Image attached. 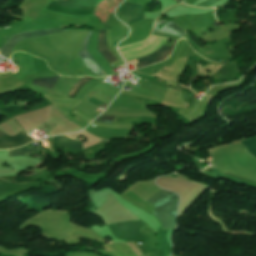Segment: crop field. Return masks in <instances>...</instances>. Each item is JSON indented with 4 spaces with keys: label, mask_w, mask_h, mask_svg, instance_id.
Masks as SVG:
<instances>
[{
    "label": "crop field",
    "mask_w": 256,
    "mask_h": 256,
    "mask_svg": "<svg viewBox=\"0 0 256 256\" xmlns=\"http://www.w3.org/2000/svg\"><path fill=\"white\" fill-rule=\"evenodd\" d=\"M177 199V196L163 190L149 200L156 205L153 214L160 220L163 229H173L175 226Z\"/></svg>",
    "instance_id": "8a807250"
},
{
    "label": "crop field",
    "mask_w": 256,
    "mask_h": 256,
    "mask_svg": "<svg viewBox=\"0 0 256 256\" xmlns=\"http://www.w3.org/2000/svg\"><path fill=\"white\" fill-rule=\"evenodd\" d=\"M69 29H48V30H39V31H31V32H24L19 33L11 36L1 47L0 54L5 57H10L11 52L14 46L19 43L20 41L28 38L39 37L43 35H48L56 32H61Z\"/></svg>",
    "instance_id": "ac0d7876"
},
{
    "label": "crop field",
    "mask_w": 256,
    "mask_h": 256,
    "mask_svg": "<svg viewBox=\"0 0 256 256\" xmlns=\"http://www.w3.org/2000/svg\"><path fill=\"white\" fill-rule=\"evenodd\" d=\"M143 6L125 3L118 11V15L129 24L143 19Z\"/></svg>",
    "instance_id": "34b2d1b8"
},
{
    "label": "crop field",
    "mask_w": 256,
    "mask_h": 256,
    "mask_svg": "<svg viewBox=\"0 0 256 256\" xmlns=\"http://www.w3.org/2000/svg\"><path fill=\"white\" fill-rule=\"evenodd\" d=\"M8 136L7 134L0 131V139ZM33 139L29 138L24 131L17 133L15 136H8L0 140V149H7L11 147L21 146L23 144L29 143Z\"/></svg>",
    "instance_id": "412701ff"
},
{
    "label": "crop field",
    "mask_w": 256,
    "mask_h": 256,
    "mask_svg": "<svg viewBox=\"0 0 256 256\" xmlns=\"http://www.w3.org/2000/svg\"><path fill=\"white\" fill-rule=\"evenodd\" d=\"M91 33H92V31L89 30V32L84 40L82 51L79 52V56L81 57L82 61L84 62V64L90 71H92L96 75H103L104 72L102 74V71H101L102 69L97 65V63L92 59V57L87 52V43L89 41Z\"/></svg>",
    "instance_id": "f4fd0767"
},
{
    "label": "crop field",
    "mask_w": 256,
    "mask_h": 256,
    "mask_svg": "<svg viewBox=\"0 0 256 256\" xmlns=\"http://www.w3.org/2000/svg\"><path fill=\"white\" fill-rule=\"evenodd\" d=\"M176 41H177V40L175 39L174 42H173V44H172V46L169 47V49H168V46L164 45V46L161 47L159 50H157L155 53H153V54H151V55H149V56H146V57H142V58L136 59L137 63L144 62V61H148V60H150V59H153V58H155V57H158V56L164 54V53L167 51V49H168V51H167L163 56H160V57H158V58H155V59L150 60V61L145 62V63L138 64V66H139V67H141V66H146V65L151 64V63H153V62L161 61V60L167 58V57L169 56V54H170V52H171V50H172V48H173V46H174V43H175ZM126 63H136V62H135V60H133V61H128V62H126ZM137 63H136V64H137Z\"/></svg>",
    "instance_id": "dd49c442"
},
{
    "label": "crop field",
    "mask_w": 256,
    "mask_h": 256,
    "mask_svg": "<svg viewBox=\"0 0 256 256\" xmlns=\"http://www.w3.org/2000/svg\"><path fill=\"white\" fill-rule=\"evenodd\" d=\"M98 49L108 63L116 61L115 57L109 51V48L107 46L106 39H105V31H99Z\"/></svg>",
    "instance_id": "e52e79f7"
},
{
    "label": "crop field",
    "mask_w": 256,
    "mask_h": 256,
    "mask_svg": "<svg viewBox=\"0 0 256 256\" xmlns=\"http://www.w3.org/2000/svg\"><path fill=\"white\" fill-rule=\"evenodd\" d=\"M158 24L159 22L155 21V24L153 26V30L152 31H162L165 33H169V34H174V35H178L183 37L184 36V31L183 29H181L180 27L176 26L174 23L168 21L166 22L161 29L158 28Z\"/></svg>",
    "instance_id": "d8731c3e"
},
{
    "label": "crop field",
    "mask_w": 256,
    "mask_h": 256,
    "mask_svg": "<svg viewBox=\"0 0 256 256\" xmlns=\"http://www.w3.org/2000/svg\"><path fill=\"white\" fill-rule=\"evenodd\" d=\"M66 135L74 139V137H72L68 134H66ZM67 136H65V135L57 136V137H54L53 140L65 145V146H68L70 148L77 149V150H82L84 143H81L80 142L81 140H78L76 138L73 140V139H71Z\"/></svg>",
    "instance_id": "5a996713"
},
{
    "label": "crop field",
    "mask_w": 256,
    "mask_h": 256,
    "mask_svg": "<svg viewBox=\"0 0 256 256\" xmlns=\"http://www.w3.org/2000/svg\"><path fill=\"white\" fill-rule=\"evenodd\" d=\"M37 149L38 147H35V148L21 147L17 149L8 150V157L27 155V153L37 152Z\"/></svg>",
    "instance_id": "3316defc"
},
{
    "label": "crop field",
    "mask_w": 256,
    "mask_h": 256,
    "mask_svg": "<svg viewBox=\"0 0 256 256\" xmlns=\"http://www.w3.org/2000/svg\"><path fill=\"white\" fill-rule=\"evenodd\" d=\"M58 77L59 76H55V77L48 78V79L33 80V84L32 85H39V86H43L45 88H48V89L52 90L56 80L58 79Z\"/></svg>",
    "instance_id": "28ad6ade"
},
{
    "label": "crop field",
    "mask_w": 256,
    "mask_h": 256,
    "mask_svg": "<svg viewBox=\"0 0 256 256\" xmlns=\"http://www.w3.org/2000/svg\"><path fill=\"white\" fill-rule=\"evenodd\" d=\"M93 78L91 77H83L81 78L74 86L73 88L70 90L68 97L74 98L75 95L77 94V92L80 90V88L86 84L87 82H89L90 80H92ZM82 89V88H81Z\"/></svg>",
    "instance_id": "d1516ede"
},
{
    "label": "crop field",
    "mask_w": 256,
    "mask_h": 256,
    "mask_svg": "<svg viewBox=\"0 0 256 256\" xmlns=\"http://www.w3.org/2000/svg\"><path fill=\"white\" fill-rule=\"evenodd\" d=\"M242 144L248 152H250L254 157H256V138L242 141Z\"/></svg>",
    "instance_id": "22f410ed"
},
{
    "label": "crop field",
    "mask_w": 256,
    "mask_h": 256,
    "mask_svg": "<svg viewBox=\"0 0 256 256\" xmlns=\"http://www.w3.org/2000/svg\"><path fill=\"white\" fill-rule=\"evenodd\" d=\"M115 116H102L100 115L95 121L102 123H113Z\"/></svg>",
    "instance_id": "cbeb9de0"
},
{
    "label": "crop field",
    "mask_w": 256,
    "mask_h": 256,
    "mask_svg": "<svg viewBox=\"0 0 256 256\" xmlns=\"http://www.w3.org/2000/svg\"><path fill=\"white\" fill-rule=\"evenodd\" d=\"M217 0H207V1H205V2H203V3H201V4H198V5H196V6H199V7H206V6H209V5H211V4H213L214 2H216Z\"/></svg>",
    "instance_id": "5142ce71"
},
{
    "label": "crop field",
    "mask_w": 256,
    "mask_h": 256,
    "mask_svg": "<svg viewBox=\"0 0 256 256\" xmlns=\"http://www.w3.org/2000/svg\"><path fill=\"white\" fill-rule=\"evenodd\" d=\"M129 244H131V245L134 247V245H133L132 243H129ZM131 245H130V246H131ZM134 248H135V247H134ZM135 250L138 252L139 255H141V254L139 253V251H138L136 248H135Z\"/></svg>",
    "instance_id": "d9b57169"
},
{
    "label": "crop field",
    "mask_w": 256,
    "mask_h": 256,
    "mask_svg": "<svg viewBox=\"0 0 256 256\" xmlns=\"http://www.w3.org/2000/svg\"><path fill=\"white\" fill-rule=\"evenodd\" d=\"M163 34V33H162Z\"/></svg>",
    "instance_id": "733c2abd"
}]
</instances>
